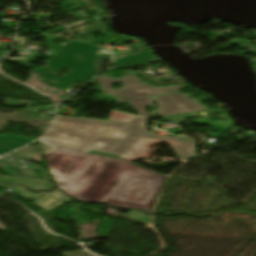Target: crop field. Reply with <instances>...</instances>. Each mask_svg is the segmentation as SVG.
<instances>
[{
  "label": "crop field",
  "instance_id": "8a807250",
  "mask_svg": "<svg viewBox=\"0 0 256 256\" xmlns=\"http://www.w3.org/2000/svg\"><path fill=\"white\" fill-rule=\"evenodd\" d=\"M146 119L129 122L57 116L46 136L55 140L46 152L55 181L80 201L119 206L138 176L163 182L165 176L111 157L84 153L91 149L124 156L142 137L171 141L181 158L195 156L194 143L147 132Z\"/></svg>",
  "mask_w": 256,
  "mask_h": 256
},
{
  "label": "crop field",
  "instance_id": "ac0d7876",
  "mask_svg": "<svg viewBox=\"0 0 256 256\" xmlns=\"http://www.w3.org/2000/svg\"><path fill=\"white\" fill-rule=\"evenodd\" d=\"M67 66H70V73L64 77H57L58 71ZM34 72L57 86L60 90L65 91L68 95L71 94L72 86L76 82L83 83L97 74L95 65L87 72L84 67L57 60H51L43 69Z\"/></svg>",
  "mask_w": 256,
  "mask_h": 256
},
{
  "label": "crop field",
  "instance_id": "34b2d1b8",
  "mask_svg": "<svg viewBox=\"0 0 256 256\" xmlns=\"http://www.w3.org/2000/svg\"><path fill=\"white\" fill-rule=\"evenodd\" d=\"M96 79L105 88L106 92L110 96L145 97V96H152L160 93L174 92L181 89H185L184 86L154 88L138 82L139 80L137 81L135 75H130L123 79H117V80L107 79L103 76H100ZM113 82H122L125 85L121 89L117 91H113L110 88V84Z\"/></svg>",
  "mask_w": 256,
  "mask_h": 256
},
{
  "label": "crop field",
  "instance_id": "412701ff",
  "mask_svg": "<svg viewBox=\"0 0 256 256\" xmlns=\"http://www.w3.org/2000/svg\"><path fill=\"white\" fill-rule=\"evenodd\" d=\"M162 183L140 178L136 180L120 206L139 207L149 211L155 201Z\"/></svg>",
  "mask_w": 256,
  "mask_h": 256
},
{
  "label": "crop field",
  "instance_id": "f4fd0767",
  "mask_svg": "<svg viewBox=\"0 0 256 256\" xmlns=\"http://www.w3.org/2000/svg\"><path fill=\"white\" fill-rule=\"evenodd\" d=\"M100 47L86 43L68 42L53 59L84 66L88 71L90 67L102 56L95 55Z\"/></svg>",
  "mask_w": 256,
  "mask_h": 256
},
{
  "label": "crop field",
  "instance_id": "dd49c442",
  "mask_svg": "<svg viewBox=\"0 0 256 256\" xmlns=\"http://www.w3.org/2000/svg\"><path fill=\"white\" fill-rule=\"evenodd\" d=\"M187 96L189 95L175 93L156 98L159 105V115L165 117L174 114L188 113L207 109L201 106L197 100L185 99V97Z\"/></svg>",
  "mask_w": 256,
  "mask_h": 256
},
{
  "label": "crop field",
  "instance_id": "e52e79f7",
  "mask_svg": "<svg viewBox=\"0 0 256 256\" xmlns=\"http://www.w3.org/2000/svg\"><path fill=\"white\" fill-rule=\"evenodd\" d=\"M70 199L65 193L54 188L51 193L46 192L31 201L35 202V206L49 211Z\"/></svg>",
  "mask_w": 256,
  "mask_h": 256
},
{
  "label": "crop field",
  "instance_id": "d8731c3e",
  "mask_svg": "<svg viewBox=\"0 0 256 256\" xmlns=\"http://www.w3.org/2000/svg\"><path fill=\"white\" fill-rule=\"evenodd\" d=\"M152 61H157V59L150 54L147 48H144L141 49L138 54L129 55L127 57L116 60L114 64L117 68H120Z\"/></svg>",
  "mask_w": 256,
  "mask_h": 256
},
{
  "label": "crop field",
  "instance_id": "5a996713",
  "mask_svg": "<svg viewBox=\"0 0 256 256\" xmlns=\"http://www.w3.org/2000/svg\"><path fill=\"white\" fill-rule=\"evenodd\" d=\"M31 141L23 137L18 138V136H0V155L17 149Z\"/></svg>",
  "mask_w": 256,
  "mask_h": 256
},
{
  "label": "crop field",
  "instance_id": "3316defc",
  "mask_svg": "<svg viewBox=\"0 0 256 256\" xmlns=\"http://www.w3.org/2000/svg\"><path fill=\"white\" fill-rule=\"evenodd\" d=\"M27 179V178H25ZM19 178L17 177H0V182L4 183H21L25 186H28L31 190L35 191L38 189H45L50 190L53 186L52 184L44 181V180H37V179H28L33 184H28L26 182H18Z\"/></svg>",
  "mask_w": 256,
  "mask_h": 256
},
{
  "label": "crop field",
  "instance_id": "28ad6ade",
  "mask_svg": "<svg viewBox=\"0 0 256 256\" xmlns=\"http://www.w3.org/2000/svg\"><path fill=\"white\" fill-rule=\"evenodd\" d=\"M129 100L131 105L134 106L139 115L150 117L146 110V106L152 105V98H121L118 101V104Z\"/></svg>",
  "mask_w": 256,
  "mask_h": 256
},
{
  "label": "crop field",
  "instance_id": "d1516ede",
  "mask_svg": "<svg viewBox=\"0 0 256 256\" xmlns=\"http://www.w3.org/2000/svg\"><path fill=\"white\" fill-rule=\"evenodd\" d=\"M103 29H106L104 24L102 22H98V23L86 25V26H83V27H80V28H76V29H73V30H69V31H66V32H62V33H59V34L54 35V36L65 35V34L73 33L75 31L79 32L81 35H85V34H91V33H94L96 31L103 30Z\"/></svg>",
  "mask_w": 256,
  "mask_h": 256
},
{
  "label": "crop field",
  "instance_id": "22f410ed",
  "mask_svg": "<svg viewBox=\"0 0 256 256\" xmlns=\"http://www.w3.org/2000/svg\"><path fill=\"white\" fill-rule=\"evenodd\" d=\"M0 187L14 189L15 195L22 197V198L29 199V200H31L45 192V191H41L39 193H31V192L26 191L25 188L22 186H9V185L0 184Z\"/></svg>",
  "mask_w": 256,
  "mask_h": 256
},
{
  "label": "crop field",
  "instance_id": "cbeb9de0",
  "mask_svg": "<svg viewBox=\"0 0 256 256\" xmlns=\"http://www.w3.org/2000/svg\"><path fill=\"white\" fill-rule=\"evenodd\" d=\"M83 4L82 0H77V2H74V0H66L63 2L58 3V5L63 8L64 10L67 9L66 5H75L69 8V11L77 10L80 8V6ZM66 11V12H69Z\"/></svg>",
  "mask_w": 256,
  "mask_h": 256
},
{
  "label": "crop field",
  "instance_id": "5142ce71",
  "mask_svg": "<svg viewBox=\"0 0 256 256\" xmlns=\"http://www.w3.org/2000/svg\"><path fill=\"white\" fill-rule=\"evenodd\" d=\"M125 216L133 218L135 220H141V221L146 222L148 224L150 222V218L148 216H146L144 213L139 212V211H131L128 214H126Z\"/></svg>",
  "mask_w": 256,
  "mask_h": 256
},
{
  "label": "crop field",
  "instance_id": "d9b57169",
  "mask_svg": "<svg viewBox=\"0 0 256 256\" xmlns=\"http://www.w3.org/2000/svg\"><path fill=\"white\" fill-rule=\"evenodd\" d=\"M143 46H146V45L144 44V45L137 46V47H132V46H129V47L131 48V50H132L133 52H135V49L141 48V47H143Z\"/></svg>",
  "mask_w": 256,
  "mask_h": 256
},
{
  "label": "crop field",
  "instance_id": "733c2abd",
  "mask_svg": "<svg viewBox=\"0 0 256 256\" xmlns=\"http://www.w3.org/2000/svg\"><path fill=\"white\" fill-rule=\"evenodd\" d=\"M42 140L45 141V142H47V143H49V144L53 141V140L47 139V138H45V137L42 138Z\"/></svg>",
  "mask_w": 256,
  "mask_h": 256
},
{
  "label": "crop field",
  "instance_id": "4a817a6b",
  "mask_svg": "<svg viewBox=\"0 0 256 256\" xmlns=\"http://www.w3.org/2000/svg\"><path fill=\"white\" fill-rule=\"evenodd\" d=\"M0 228L5 229V226L0 223Z\"/></svg>",
  "mask_w": 256,
  "mask_h": 256
},
{
  "label": "crop field",
  "instance_id": "bc2a9ffb",
  "mask_svg": "<svg viewBox=\"0 0 256 256\" xmlns=\"http://www.w3.org/2000/svg\"><path fill=\"white\" fill-rule=\"evenodd\" d=\"M19 181H26V182L30 183L28 180H25V179H20Z\"/></svg>",
  "mask_w": 256,
  "mask_h": 256
}]
</instances>
